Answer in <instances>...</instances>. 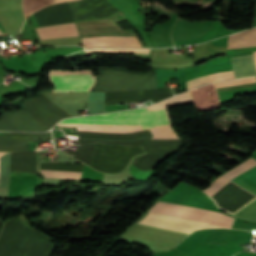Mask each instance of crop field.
I'll return each instance as SVG.
<instances>
[{
  "label": "crop field",
  "mask_w": 256,
  "mask_h": 256,
  "mask_svg": "<svg viewBox=\"0 0 256 256\" xmlns=\"http://www.w3.org/2000/svg\"><path fill=\"white\" fill-rule=\"evenodd\" d=\"M190 102V94L186 92L146 108L70 118L59 124L140 125L141 130H145L171 125L166 107Z\"/></svg>",
  "instance_id": "1"
},
{
  "label": "crop field",
  "mask_w": 256,
  "mask_h": 256,
  "mask_svg": "<svg viewBox=\"0 0 256 256\" xmlns=\"http://www.w3.org/2000/svg\"><path fill=\"white\" fill-rule=\"evenodd\" d=\"M122 12L109 18L77 22L76 27L82 45L141 47L133 30L123 31L115 22L124 19ZM143 47V46H142Z\"/></svg>",
  "instance_id": "2"
},
{
  "label": "crop field",
  "mask_w": 256,
  "mask_h": 256,
  "mask_svg": "<svg viewBox=\"0 0 256 256\" xmlns=\"http://www.w3.org/2000/svg\"><path fill=\"white\" fill-rule=\"evenodd\" d=\"M149 211L228 227L231 226L234 220L233 218L222 213L161 201H158Z\"/></svg>",
  "instance_id": "3"
},
{
  "label": "crop field",
  "mask_w": 256,
  "mask_h": 256,
  "mask_svg": "<svg viewBox=\"0 0 256 256\" xmlns=\"http://www.w3.org/2000/svg\"><path fill=\"white\" fill-rule=\"evenodd\" d=\"M48 76L52 83L53 92L89 91L95 81L92 70H51Z\"/></svg>",
  "instance_id": "4"
},
{
  "label": "crop field",
  "mask_w": 256,
  "mask_h": 256,
  "mask_svg": "<svg viewBox=\"0 0 256 256\" xmlns=\"http://www.w3.org/2000/svg\"><path fill=\"white\" fill-rule=\"evenodd\" d=\"M22 104L30 111L34 120L50 127L59 120L69 117L40 94L24 100Z\"/></svg>",
  "instance_id": "5"
},
{
  "label": "crop field",
  "mask_w": 256,
  "mask_h": 256,
  "mask_svg": "<svg viewBox=\"0 0 256 256\" xmlns=\"http://www.w3.org/2000/svg\"><path fill=\"white\" fill-rule=\"evenodd\" d=\"M256 165V161L254 159H249L246 162L242 163L241 165L237 166L233 170L229 171L228 173L224 174L223 176L216 179L211 185L203 190L208 196L214 193L216 190L221 188L223 185L231 181L234 177L241 174L243 171L253 167ZM236 215L244 216L251 219H256V199L253 200L251 203L240 209L238 212L235 213Z\"/></svg>",
  "instance_id": "6"
},
{
  "label": "crop field",
  "mask_w": 256,
  "mask_h": 256,
  "mask_svg": "<svg viewBox=\"0 0 256 256\" xmlns=\"http://www.w3.org/2000/svg\"><path fill=\"white\" fill-rule=\"evenodd\" d=\"M52 140L50 132L46 133H19L7 132L0 134V151L18 152L27 151L26 142Z\"/></svg>",
  "instance_id": "7"
},
{
  "label": "crop field",
  "mask_w": 256,
  "mask_h": 256,
  "mask_svg": "<svg viewBox=\"0 0 256 256\" xmlns=\"http://www.w3.org/2000/svg\"><path fill=\"white\" fill-rule=\"evenodd\" d=\"M35 30L40 39L78 36L74 23L38 28Z\"/></svg>",
  "instance_id": "8"
},
{
  "label": "crop field",
  "mask_w": 256,
  "mask_h": 256,
  "mask_svg": "<svg viewBox=\"0 0 256 256\" xmlns=\"http://www.w3.org/2000/svg\"><path fill=\"white\" fill-rule=\"evenodd\" d=\"M230 59L235 78L256 75L252 54L246 56L231 57Z\"/></svg>",
  "instance_id": "9"
},
{
  "label": "crop field",
  "mask_w": 256,
  "mask_h": 256,
  "mask_svg": "<svg viewBox=\"0 0 256 256\" xmlns=\"http://www.w3.org/2000/svg\"><path fill=\"white\" fill-rule=\"evenodd\" d=\"M76 127L77 131L126 133L140 130L139 126H102V125H58Z\"/></svg>",
  "instance_id": "10"
},
{
  "label": "crop field",
  "mask_w": 256,
  "mask_h": 256,
  "mask_svg": "<svg viewBox=\"0 0 256 256\" xmlns=\"http://www.w3.org/2000/svg\"><path fill=\"white\" fill-rule=\"evenodd\" d=\"M249 45H256V28L230 35L227 49Z\"/></svg>",
  "instance_id": "11"
},
{
  "label": "crop field",
  "mask_w": 256,
  "mask_h": 256,
  "mask_svg": "<svg viewBox=\"0 0 256 256\" xmlns=\"http://www.w3.org/2000/svg\"><path fill=\"white\" fill-rule=\"evenodd\" d=\"M233 72H225V73H220V74H215V75H206V76H202L196 79H192L189 81H186L187 83V90L201 85V84H205V83H209V82H213V81H218V80H226V79H233Z\"/></svg>",
  "instance_id": "12"
},
{
  "label": "crop field",
  "mask_w": 256,
  "mask_h": 256,
  "mask_svg": "<svg viewBox=\"0 0 256 256\" xmlns=\"http://www.w3.org/2000/svg\"><path fill=\"white\" fill-rule=\"evenodd\" d=\"M150 132L154 136L151 139H180L179 136L174 132L172 126H161L150 129Z\"/></svg>",
  "instance_id": "13"
},
{
  "label": "crop field",
  "mask_w": 256,
  "mask_h": 256,
  "mask_svg": "<svg viewBox=\"0 0 256 256\" xmlns=\"http://www.w3.org/2000/svg\"><path fill=\"white\" fill-rule=\"evenodd\" d=\"M44 177L80 179L81 172L40 170Z\"/></svg>",
  "instance_id": "14"
},
{
  "label": "crop field",
  "mask_w": 256,
  "mask_h": 256,
  "mask_svg": "<svg viewBox=\"0 0 256 256\" xmlns=\"http://www.w3.org/2000/svg\"><path fill=\"white\" fill-rule=\"evenodd\" d=\"M246 175L250 176L254 180H256V167L244 172Z\"/></svg>",
  "instance_id": "15"
},
{
  "label": "crop field",
  "mask_w": 256,
  "mask_h": 256,
  "mask_svg": "<svg viewBox=\"0 0 256 256\" xmlns=\"http://www.w3.org/2000/svg\"><path fill=\"white\" fill-rule=\"evenodd\" d=\"M252 53H253V58H254L255 65H256V51H255V52H252Z\"/></svg>",
  "instance_id": "16"
},
{
  "label": "crop field",
  "mask_w": 256,
  "mask_h": 256,
  "mask_svg": "<svg viewBox=\"0 0 256 256\" xmlns=\"http://www.w3.org/2000/svg\"><path fill=\"white\" fill-rule=\"evenodd\" d=\"M64 1H74V0H56V3L57 2H64Z\"/></svg>",
  "instance_id": "17"
},
{
  "label": "crop field",
  "mask_w": 256,
  "mask_h": 256,
  "mask_svg": "<svg viewBox=\"0 0 256 256\" xmlns=\"http://www.w3.org/2000/svg\"><path fill=\"white\" fill-rule=\"evenodd\" d=\"M2 34V32L0 31V35Z\"/></svg>",
  "instance_id": "18"
},
{
  "label": "crop field",
  "mask_w": 256,
  "mask_h": 256,
  "mask_svg": "<svg viewBox=\"0 0 256 256\" xmlns=\"http://www.w3.org/2000/svg\"><path fill=\"white\" fill-rule=\"evenodd\" d=\"M3 153H0V156L2 155Z\"/></svg>",
  "instance_id": "19"
}]
</instances>
